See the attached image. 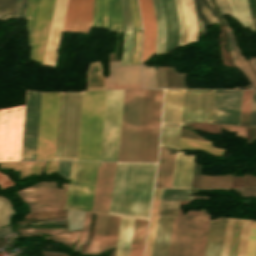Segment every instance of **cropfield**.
Instances as JSON below:
<instances>
[{"instance_id":"obj_1","label":"crop field","mask_w":256,"mask_h":256,"mask_svg":"<svg viewBox=\"0 0 256 256\" xmlns=\"http://www.w3.org/2000/svg\"><path fill=\"white\" fill-rule=\"evenodd\" d=\"M60 92L27 91L21 161L54 160Z\"/></svg>"},{"instance_id":"obj_2","label":"crop field","mask_w":256,"mask_h":256,"mask_svg":"<svg viewBox=\"0 0 256 256\" xmlns=\"http://www.w3.org/2000/svg\"><path fill=\"white\" fill-rule=\"evenodd\" d=\"M156 163H117L109 214L148 219Z\"/></svg>"},{"instance_id":"obj_3","label":"crop field","mask_w":256,"mask_h":256,"mask_svg":"<svg viewBox=\"0 0 256 256\" xmlns=\"http://www.w3.org/2000/svg\"><path fill=\"white\" fill-rule=\"evenodd\" d=\"M106 91L83 92L78 160L100 161Z\"/></svg>"},{"instance_id":"obj_4","label":"crop field","mask_w":256,"mask_h":256,"mask_svg":"<svg viewBox=\"0 0 256 256\" xmlns=\"http://www.w3.org/2000/svg\"><path fill=\"white\" fill-rule=\"evenodd\" d=\"M82 92H61L55 160H77Z\"/></svg>"},{"instance_id":"obj_5","label":"crop field","mask_w":256,"mask_h":256,"mask_svg":"<svg viewBox=\"0 0 256 256\" xmlns=\"http://www.w3.org/2000/svg\"><path fill=\"white\" fill-rule=\"evenodd\" d=\"M208 219L205 211L175 217L169 256H203Z\"/></svg>"},{"instance_id":"obj_6","label":"crop field","mask_w":256,"mask_h":256,"mask_svg":"<svg viewBox=\"0 0 256 256\" xmlns=\"http://www.w3.org/2000/svg\"><path fill=\"white\" fill-rule=\"evenodd\" d=\"M162 89H144L138 161H157Z\"/></svg>"},{"instance_id":"obj_7","label":"crop field","mask_w":256,"mask_h":256,"mask_svg":"<svg viewBox=\"0 0 256 256\" xmlns=\"http://www.w3.org/2000/svg\"><path fill=\"white\" fill-rule=\"evenodd\" d=\"M143 89L124 90L118 161H137Z\"/></svg>"},{"instance_id":"obj_8","label":"crop field","mask_w":256,"mask_h":256,"mask_svg":"<svg viewBox=\"0 0 256 256\" xmlns=\"http://www.w3.org/2000/svg\"><path fill=\"white\" fill-rule=\"evenodd\" d=\"M55 0H29L26 16L29 58L42 65Z\"/></svg>"},{"instance_id":"obj_9","label":"crop field","mask_w":256,"mask_h":256,"mask_svg":"<svg viewBox=\"0 0 256 256\" xmlns=\"http://www.w3.org/2000/svg\"><path fill=\"white\" fill-rule=\"evenodd\" d=\"M98 162H72L64 208L91 211Z\"/></svg>"},{"instance_id":"obj_10","label":"crop field","mask_w":256,"mask_h":256,"mask_svg":"<svg viewBox=\"0 0 256 256\" xmlns=\"http://www.w3.org/2000/svg\"><path fill=\"white\" fill-rule=\"evenodd\" d=\"M25 105L0 110V161H20Z\"/></svg>"},{"instance_id":"obj_11","label":"crop field","mask_w":256,"mask_h":256,"mask_svg":"<svg viewBox=\"0 0 256 256\" xmlns=\"http://www.w3.org/2000/svg\"><path fill=\"white\" fill-rule=\"evenodd\" d=\"M123 90L107 91L101 161H117Z\"/></svg>"},{"instance_id":"obj_12","label":"crop field","mask_w":256,"mask_h":256,"mask_svg":"<svg viewBox=\"0 0 256 256\" xmlns=\"http://www.w3.org/2000/svg\"><path fill=\"white\" fill-rule=\"evenodd\" d=\"M62 190L56 188L55 182L37 183L17 194L27 203L31 213L59 209Z\"/></svg>"},{"instance_id":"obj_13","label":"crop field","mask_w":256,"mask_h":256,"mask_svg":"<svg viewBox=\"0 0 256 256\" xmlns=\"http://www.w3.org/2000/svg\"><path fill=\"white\" fill-rule=\"evenodd\" d=\"M242 91L214 90L211 123L239 125Z\"/></svg>"},{"instance_id":"obj_14","label":"crop field","mask_w":256,"mask_h":256,"mask_svg":"<svg viewBox=\"0 0 256 256\" xmlns=\"http://www.w3.org/2000/svg\"><path fill=\"white\" fill-rule=\"evenodd\" d=\"M213 90H185L182 125L194 121L210 123Z\"/></svg>"},{"instance_id":"obj_15","label":"crop field","mask_w":256,"mask_h":256,"mask_svg":"<svg viewBox=\"0 0 256 256\" xmlns=\"http://www.w3.org/2000/svg\"><path fill=\"white\" fill-rule=\"evenodd\" d=\"M93 0H68L63 31L88 34L91 28Z\"/></svg>"},{"instance_id":"obj_16","label":"crop field","mask_w":256,"mask_h":256,"mask_svg":"<svg viewBox=\"0 0 256 256\" xmlns=\"http://www.w3.org/2000/svg\"><path fill=\"white\" fill-rule=\"evenodd\" d=\"M92 26L113 31L124 30L118 0H94Z\"/></svg>"},{"instance_id":"obj_17","label":"crop field","mask_w":256,"mask_h":256,"mask_svg":"<svg viewBox=\"0 0 256 256\" xmlns=\"http://www.w3.org/2000/svg\"><path fill=\"white\" fill-rule=\"evenodd\" d=\"M116 163L99 168L92 211L108 214Z\"/></svg>"},{"instance_id":"obj_18","label":"crop field","mask_w":256,"mask_h":256,"mask_svg":"<svg viewBox=\"0 0 256 256\" xmlns=\"http://www.w3.org/2000/svg\"><path fill=\"white\" fill-rule=\"evenodd\" d=\"M142 87L140 65L120 67V61L110 62L106 89Z\"/></svg>"},{"instance_id":"obj_19","label":"crop field","mask_w":256,"mask_h":256,"mask_svg":"<svg viewBox=\"0 0 256 256\" xmlns=\"http://www.w3.org/2000/svg\"><path fill=\"white\" fill-rule=\"evenodd\" d=\"M67 0H56L43 65L54 67Z\"/></svg>"},{"instance_id":"obj_20","label":"crop field","mask_w":256,"mask_h":256,"mask_svg":"<svg viewBox=\"0 0 256 256\" xmlns=\"http://www.w3.org/2000/svg\"><path fill=\"white\" fill-rule=\"evenodd\" d=\"M223 23L227 29L230 52L233 57L236 68H240L245 77L248 79L252 87L256 86V77L248 66L235 37L233 28H228L224 14L231 15L227 0H215Z\"/></svg>"},{"instance_id":"obj_21","label":"crop field","mask_w":256,"mask_h":256,"mask_svg":"<svg viewBox=\"0 0 256 256\" xmlns=\"http://www.w3.org/2000/svg\"><path fill=\"white\" fill-rule=\"evenodd\" d=\"M138 1L143 25L142 62H144L155 53L156 25L151 0Z\"/></svg>"},{"instance_id":"obj_22","label":"crop field","mask_w":256,"mask_h":256,"mask_svg":"<svg viewBox=\"0 0 256 256\" xmlns=\"http://www.w3.org/2000/svg\"><path fill=\"white\" fill-rule=\"evenodd\" d=\"M184 90L165 89L162 125H181Z\"/></svg>"},{"instance_id":"obj_23","label":"crop field","mask_w":256,"mask_h":256,"mask_svg":"<svg viewBox=\"0 0 256 256\" xmlns=\"http://www.w3.org/2000/svg\"><path fill=\"white\" fill-rule=\"evenodd\" d=\"M165 25V47L164 53L178 47L179 24L174 0H161Z\"/></svg>"},{"instance_id":"obj_24","label":"crop field","mask_w":256,"mask_h":256,"mask_svg":"<svg viewBox=\"0 0 256 256\" xmlns=\"http://www.w3.org/2000/svg\"><path fill=\"white\" fill-rule=\"evenodd\" d=\"M173 217L158 216L152 256H167Z\"/></svg>"},{"instance_id":"obj_25","label":"crop field","mask_w":256,"mask_h":256,"mask_svg":"<svg viewBox=\"0 0 256 256\" xmlns=\"http://www.w3.org/2000/svg\"><path fill=\"white\" fill-rule=\"evenodd\" d=\"M176 152L160 147L155 187H171Z\"/></svg>"},{"instance_id":"obj_26","label":"crop field","mask_w":256,"mask_h":256,"mask_svg":"<svg viewBox=\"0 0 256 256\" xmlns=\"http://www.w3.org/2000/svg\"><path fill=\"white\" fill-rule=\"evenodd\" d=\"M177 152L172 187H190L195 156H182Z\"/></svg>"},{"instance_id":"obj_27","label":"crop field","mask_w":256,"mask_h":256,"mask_svg":"<svg viewBox=\"0 0 256 256\" xmlns=\"http://www.w3.org/2000/svg\"><path fill=\"white\" fill-rule=\"evenodd\" d=\"M226 218L210 220L204 256H221Z\"/></svg>"},{"instance_id":"obj_28","label":"crop field","mask_w":256,"mask_h":256,"mask_svg":"<svg viewBox=\"0 0 256 256\" xmlns=\"http://www.w3.org/2000/svg\"><path fill=\"white\" fill-rule=\"evenodd\" d=\"M196 11L202 37L204 38L207 26L219 23V20L211 6L209 0H195Z\"/></svg>"},{"instance_id":"obj_29","label":"crop field","mask_w":256,"mask_h":256,"mask_svg":"<svg viewBox=\"0 0 256 256\" xmlns=\"http://www.w3.org/2000/svg\"><path fill=\"white\" fill-rule=\"evenodd\" d=\"M134 219L121 217L116 256H128Z\"/></svg>"},{"instance_id":"obj_30","label":"crop field","mask_w":256,"mask_h":256,"mask_svg":"<svg viewBox=\"0 0 256 256\" xmlns=\"http://www.w3.org/2000/svg\"><path fill=\"white\" fill-rule=\"evenodd\" d=\"M148 221L135 219L129 256H143Z\"/></svg>"},{"instance_id":"obj_31","label":"crop field","mask_w":256,"mask_h":256,"mask_svg":"<svg viewBox=\"0 0 256 256\" xmlns=\"http://www.w3.org/2000/svg\"><path fill=\"white\" fill-rule=\"evenodd\" d=\"M120 217L107 215L103 244L98 252L104 253L111 247H116Z\"/></svg>"},{"instance_id":"obj_32","label":"crop field","mask_w":256,"mask_h":256,"mask_svg":"<svg viewBox=\"0 0 256 256\" xmlns=\"http://www.w3.org/2000/svg\"><path fill=\"white\" fill-rule=\"evenodd\" d=\"M211 142L180 137L179 149L191 150L201 149L207 153L223 157L226 149L210 146Z\"/></svg>"},{"instance_id":"obj_33","label":"crop field","mask_w":256,"mask_h":256,"mask_svg":"<svg viewBox=\"0 0 256 256\" xmlns=\"http://www.w3.org/2000/svg\"><path fill=\"white\" fill-rule=\"evenodd\" d=\"M233 12V16L239 21L242 27H250L251 31H256L249 14L247 0H228Z\"/></svg>"},{"instance_id":"obj_34","label":"crop field","mask_w":256,"mask_h":256,"mask_svg":"<svg viewBox=\"0 0 256 256\" xmlns=\"http://www.w3.org/2000/svg\"><path fill=\"white\" fill-rule=\"evenodd\" d=\"M157 25L156 56L163 53L165 25L160 0H152Z\"/></svg>"},{"instance_id":"obj_35","label":"crop field","mask_w":256,"mask_h":256,"mask_svg":"<svg viewBox=\"0 0 256 256\" xmlns=\"http://www.w3.org/2000/svg\"><path fill=\"white\" fill-rule=\"evenodd\" d=\"M105 89L101 61L90 63L87 73V90Z\"/></svg>"},{"instance_id":"obj_36","label":"crop field","mask_w":256,"mask_h":256,"mask_svg":"<svg viewBox=\"0 0 256 256\" xmlns=\"http://www.w3.org/2000/svg\"><path fill=\"white\" fill-rule=\"evenodd\" d=\"M44 163L45 162L0 163V166L2 168H14V170H20L21 179L30 175L40 174V170Z\"/></svg>"},{"instance_id":"obj_37","label":"crop field","mask_w":256,"mask_h":256,"mask_svg":"<svg viewBox=\"0 0 256 256\" xmlns=\"http://www.w3.org/2000/svg\"><path fill=\"white\" fill-rule=\"evenodd\" d=\"M180 126H162L160 145L178 149Z\"/></svg>"},{"instance_id":"obj_38","label":"crop field","mask_w":256,"mask_h":256,"mask_svg":"<svg viewBox=\"0 0 256 256\" xmlns=\"http://www.w3.org/2000/svg\"><path fill=\"white\" fill-rule=\"evenodd\" d=\"M184 1H185L186 13H187L188 24H189L188 44H190L192 42H198L199 33L197 28L193 0H184Z\"/></svg>"},{"instance_id":"obj_39","label":"crop field","mask_w":256,"mask_h":256,"mask_svg":"<svg viewBox=\"0 0 256 256\" xmlns=\"http://www.w3.org/2000/svg\"><path fill=\"white\" fill-rule=\"evenodd\" d=\"M180 24L179 47L187 44L188 24L185 13L184 1L175 0Z\"/></svg>"},{"instance_id":"obj_40","label":"crop field","mask_w":256,"mask_h":256,"mask_svg":"<svg viewBox=\"0 0 256 256\" xmlns=\"http://www.w3.org/2000/svg\"><path fill=\"white\" fill-rule=\"evenodd\" d=\"M106 215L98 214L94 239L87 251L88 254H96L103 239Z\"/></svg>"},{"instance_id":"obj_41","label":"crop field","mask_w":256,"mask_h":256,"mask_svg":"<svg viewBox=\"0 0 256 256\" xmlns=\"http://www.w3.org/2000/svg\"><path fill=\"white\" fill-rule=\"evenodd\" d=\"M252 90L243 91L240 125L249 126Z\"/></svg>"},{"instance_id":"obj_42","label":"crop field","mask_w":256,"mask_h":256,"mask_svg":"<svg viewBox=\"0 0 256 256\" xmlns=\"http://www.w3.org/2000/svg\"><path fill=\"white\" fill-rule=\"evenodd\" d=\"M188 189H162L160 200H179V199H192Z\"/></svg>"},{"instance_id":"obj_43","label":"crop field","mask_w":256,"mask_h":256,"mask_svg":"<svg viewBox=\"0 0 256 256\" xmlns=\"http://www.w3.org/2000/svg\"><path fill=\"white\" fill-rule=\"evenodd\" d=\"M250 221L242 220L237 256H245Z\"/></svg>"},{"instance_id":"obj_44","label":"crop field","mask_w":256,"mask_h":256,"mask_svg":"<svg viewBox=\"0 0 256 256\" xmlns=\"http://www.w3.org/2000/svg\"><path fill=\"white\" fill-rule=\"evenodd\" d=\"M158 215H179V201H160Z\"/></svg>"},{"instance_id":"obj_45","label":"crop field","mask_w":256,"mask_h":256,"mask_svg":"<svg viewBox=\"0 0 256 256\" xmlns=\"http://www.w3.org/2000/svg\"><path fill=\"white\" fill-rule=\"evenodd\" d=\"M11 204L0 196V226L9 224V217L13 214Z\"/></svg>"},{"instance_id":"obj_46","label":"crop field","mask_w":256,"mask_h":256,"mask_svg":"<svg viewBox=\"0 0 256 256\" xmlns=\"http://www.w3.org/2000/svg\"><path fill=\"white\" fill-rule=\"evenodd\" d=\"M132 30L126 31L124 35V50L121 65L131 64Z\"/></svg>"},{"instance_id":"obj_47","label":"crop field","mask_w":256,"mask_h":256,"mask_svg":"<svg viewBox=\"0 0 256 256\" xmlns=\"http://www.w3.org/2000/svg\"><path fill=\"white\" fill-rule=\"evenodd\" d=\"M81 231H74V232H70V233H66V234H62V235H55L53 237H45L48 239H51L53 241L56 242H60V243H64L66 245H69L71 247H73L75 241L77 240V238L79 237Z\"/></svg>"},{"instance_id":"obj_48","label":"crop field","mask_w":256,"mask_h":256,"mask_svg":"<svg viewBox=\"0 0 256 256\" xmlns=\"http://www.w3.org/2000/svg\"><path fill=\"white\" fill-rule=\"evenodd\" d=\"M141 29L133 30L132 64L140 63Z\"/></svg>"},{"instance_id":"obj_49","label":"crop field","mask_w":256,"mask_h":256,"mask_svg":"<svg viewBox=\"0 0 256 256\" xmlns=\"http://www.w3.org/2000/svg\"><path fill=\"white\" fill-rule=\"evenodd\" d=\"M246 256H256V222L251 221Z\"/></svg>"},{"instance_id":"obj_50","label":"crop field","mask_w":256,"mask_h":256,"mask_svg":"<svg viewBox=\"0 0 256 256\" xmlns=\"http://www.w3.org/2000/svg\"><path fill=\"white\" fill-rule=\"evenodd\" d=\"M234 219L227 218L222 256H228Z\"/></svg>"},{"instance_id":"obj_51","label":"crop field","mask_w":256,"mask_h":256,"mask_svg":"<svg viewBox=\"0 0 256 256\" xmlns=\"http://www.w3.org/2000/svg\"><path fill=\"white\" fill-rule=\"evenodd\" d=\"M144 87L156 88L154 67L142 64Z\"/></svg>"},{"instance_id":"obj_52","label":"crop field","mask_w":256,"mask_h":256,"mask_svg":"<svg viewBox=\"0 0 256 256\" xmlns=\"http://www.w3.org/2000/svg\"><path fill=\"white\" fill-rule=\"evenodd\" d=\"M14 0H0V20L11 19Z\"/></svg>"},{"instance_id":"obj_53","label":"crop field","mask_w":256,"mask_h":256,"mask_svg":"<svg viewBox=\"0 0 256 256\" xmlns=\"http://www.w3.org/2000/svg\"><path fill=\"white\" fill-rule=\"evenodd\" d=\"M18 231L21 233V236L35 235V234L54 235V234L66 232L67 229H25V230H18Z\"/></svg>"},{"instance_id":"obj_54","label":"crop field","mask_w":256,"mask_h":256,"mask_svg":"<svg viewBox=\"0 0 256 256\" xmlns=\"http://www.w3.org/2000/svg\"><path fill=\"white\" fill-rule=\"evenodd\" d=\"M157 216H151L145 256H151Z\"/></svg>"},{"instance_id":"obj_55","label":"crop field","mask_w":256,"mask_h":256,"mask_svg":"<svg viewBox=\"0 0 256 256\" xmlns=\"http://www.w3.org/2000/svg\"><path fill=\"white\" fill-rule=\"evenodd\" d=\"M240 223H241L240 219H235L229 256H236Z\"/></svg>"},{"instance_id":"obj_56","label":"crop field","mask_w":256,"mask_h":256,"mask_svg":"<svg viewBox=\"0 0 256 256\" xmlns=\"http://www.w3.org/2000/svg\"><path fill=\"white\" fill-rule=\"evenodd\" d=\"M125 30L133 28L127 0H120Z\"/></svg>"},{"instance_id":"obj_57","label":"crop field","mask_w":256,"mask_h":256,"mask_svg":"<svg viewBox=\"0 0 256 256\" xmlns=\"http://www.w3.org/2000/svg\"><path fill=\"white\" fill-rule=\"evenodd\" d=\"M134 28L141 27L136 0H128Z\"/></svg>"},{"instance_id":"obj_58","label":"crop field","mask_w":256,"mask_h":256,"mask_svg":"<svg viewBox=\"0 0 256 256\" xmlns=\"http://www.w3.org/2000/svg\"><path fill=\"white\" fill-rule=\"evenodd\" d=\"M27 2L28 0H16L13 18H24Z\"/></svg>"},{"instance_id":"obj_59","label":"crop field","mask_w":256,"mask_h":256,"mask_svg":"<svg viewBox=\"0 0 256 256\" xmlns=\"http://www.w3.org/2000/svg\"><path fill=\"white\" fill-rule=\"evenodd\" d=\"M89 216L90 213L86 212L85 215V221H84V227H83V232L77 242V244L75 245V247L73 248L74 250L78 251L79 247L81 246V244L83 243L84 239L87 236V232H88V224H89ZM83 245V244H82ZM81 248V247H80Z\"/></svg>"},{"instance_id":"obj_60","label":"crop field","mask_w":256,"mask_h":256,"mask_svg":"<svg viewBox=\"0 0 256 256\" xmlns=\"http://www.w3.org/2000/svg\"><path fill=\"white\" fill-rule=\"evenodd\" d=\"M157 88H166L163 67H155Z\"/></svg>"},{"instance_id":"obj_61","label":"crop field","mask_w":256,"mask_h":256,"mask_svg":"<svg viewBox=\"0 0 256 256\" xmlns=\"http://www.w3.org/2000/svg\"><path fill=\"white\" fill-rule=\"evenodd\" d=\"M224 130L236 132V135L245 140L244 127L221 125Z\"/></svg>"},{"instance_id":"obj_62","label":"crop field","mask_w":256,"mask_h":256,"mask_svg":"<svg viewBox=\"0 0 256 256\" xmlns=\"http://www.w3.org/2000/svg\"><path fill=\"white\" fill-rule=\"evenodd\" d=\"M70 166L71 162H59L58 172L69 179Z\"/></svg>"},{"instance_id":"obj_63","label":"crop field","mask_w":256,"mask_h":256,"mask_svg":"<svg viewBox=\"0 0 256 256\" xmlns=\"http://www.w3.org/2000/svg\"><path fill=\"white\" fill-rule=\"evenodd\" d=\"M250 126H256V91L253 90Z\"/></svg>"},{"instance_id":"obj_64","label":"crop field","mask_w":256,"mask_h":256,"mask_svg":"<svg viewBox=\"0 0 256 256\" xmlns=\"http://www.w3.org/2000/svg\"><path fill=\"white\" fill-rule=\"evenodd\" d=\"M161 189H155L151 215H157Z\"/></svg>"},{"instance_id":"obj_65","label":"crop field","mask_w":256,"mask_h":256,"mask_svg":"<svg viewBox=\"0 0 256 256\" xmlns=\"http://www.w3.org/2000/svg\"><path fill=\"white\" fill-rule=\"evenodd\" d=\"M15 185L6 175L0 173L1 189Z\"/></svg>"},{"instance_id":"obj_66","label":"crop field","mask_w":256,"mask_h":256,"mask_svg":"<svg viewBox=\"0 0 256 256\" xmlns=\"http://www.w3.org/2000/svg\"><path fill=\"white\" fill-rule=\"evenodd\" d=\"M57 166H58V162H48V164L44 167V171L47 174L56 172Z\"/></svg>"},{"instance_id":"obj_67","label":"crop field","mask_w":256,"mask_h":256,"mask_svg":"<svg viewBox=\"0 0 256 256\" xmlns=\"http://www.w3.org/2000/svg\"><path fill=\"white\" fill-rule=\"evenodd\" d=\"M30 224H56V225H67V223H56V222H41V223H29V224H22L18 226L30 225Z\"/></svg>"},{"instance_id":"obj_68","label":"crop field","mask_w":256,"mask_h":256,"mask_svg":"<svg viewBox=\"0 0 256 256\" xmlns=\"http://www.w3.org/2000/svg\"><path fill=\"white\" fill-rule=\"evenodd\" d=\"M62 187H63V193H62V200H61L60 209L63 208V205H64V199H65V193H66V187H67V185H66V184H63Z\"/></svg>"},{"instance_id":"obj_69","label":"crop field","mask_w":256,"mask_h":256,"mask_svg":"<svg viewBox=\"0 0 256 256\" xmlns=\"http://www.w3.org/2000/svg\"><path fill=\"white\" fill-rule=\"evenodd\" d=\"M251 60H249L250 61V63L252 64V66L254 67V69L256 70V58L255 59H253V58H250Z\"/></svg>"}]
</instances>
